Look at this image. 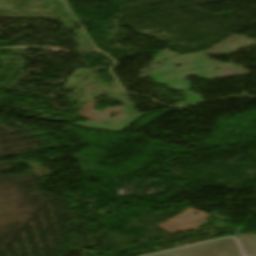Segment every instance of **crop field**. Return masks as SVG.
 I'll list each match as a JSON object with an SVG mask.
<instances>
[{
	"mask_svg": "<svg viewBox=\"0 0 256 256\" xmlns=\"http://www.w3.org/2000/svg\"><path fill=\"white\" fill-rule=\"evenodd\" d=\"M173 252L177 256H241L233 238H225Z\"/></svg>",
	"mask_w": 256,
	"mask_h": 256,
	"instance_id": "crop-field-1",
	"label": "crop field"
},
{
	"mask_svg": "<svg viewBox=\"0 0 256 256\" xmlns=\"http://www.w3.org/2000/svg\"><path fill=\"white\" fill-rule=\"evenodd\" d=\"M245 256L256 255V236L253 234L237 236Z\"/></svg>",
	"mask_w": 256,
	"mask_h": 256,
	"instance_id": "crop-field-2",
	"label": "crop field"
},
{
	"mask_svg": "<svg viewBox=\"0 0 256 256\" xmlns=\"http://www.w3.org/2000/svg\"><path fill=\"white\" fill-rule=\"evenodd\" d=\"M152 256H176L172 251L163 253V254H157V255H152Z\"/></svg>",
	"mask_w": 256,
	"mask_h": 256,
	"instance_id": "crop-field-3",
	"label": "crop field"
}]
</instances>
